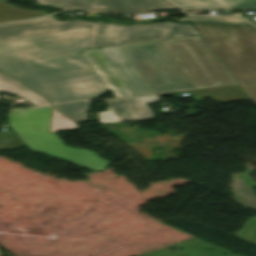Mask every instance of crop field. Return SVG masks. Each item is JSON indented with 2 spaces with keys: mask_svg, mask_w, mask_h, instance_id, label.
Listing matches in <instances>:
<instances>
[{
  "mask_svg": "<svg viewBox=\"0 0 256 256\" xmlns=\"http://www.w3.org/2000/svg\"><path fill=\"white\" fill-rule=\"evenodd\" d=\"M166 1L178 7L180 10H232L230 6H228L221 0H166Z\"/></svg>",
  "mask_w": 256,
  "mask_h": 256,
  "instance_id": "10",
  "label": "crop field"
},
{
  "mask_svg": "<svg viewBox=\"0 0 256 256\" xmlns=\"http://www.w3.org/2000/svg\"><path fill=\"white\" fill-rule=\"evenodd\" d=\"M237 83L256 84V28L193 24Z\"/></svg>",
  "mask_w": 256,
  "mask_h": 256,
  "instance_id": "4",
  "label": "crop field"
},
{
  "mask_svg": "<svg viewBox=\"0 0 256 256\" xmlns=\"http://www.w3.org/2000/svg\"><path fill=\"white\" fill-rule=\"evenodd\" d=\"M90 100L72 102L67 104L55 105L54 109L66 115L76 122L88 120L84 113L86 112L87 106Z\"/></svg>",
  "mask_w": 256,
  "mask_h": 256,
  "instance_id": "12",
  "label": "crop field"
},
{
  "mask_svg": "<svg viewBox=\"0 0 256 256\" xmlns=\"http://www.w3.org/2000/svg\"><path fill=\"white\" fill-rule=\"evenodd\" d=\"M87 26H91L89 48L198 35L191 24L163 22L121 27L114 24L78 20L57 22L49 16L0 25V41Z\"/></svg>",
  "mask_w": 256,
  "mask_h": 256,
  "instance_id": "3",
  "label": "crop field"
},
{
  "mask_svg": "<svg viewBox=\"0 0 256 256\" xmlns=\"http://www.w3.org/2000/svg\"><path fill=\"white\" fill-rule=\"evenodd\" d=\"M76 128L77 126L75 123L66 119L65 117L58 114L57 112L53 111L52 126H51L50 132H56L58 130L76 129Z\"/></svg>",
  "mask_w": 256,
  "mask_h": 256,
  "instance_id": "14",
  "label": "crop field"
},
{
  "mask_svg": "<svg viewBox=\"0 0 256 256\" xmlns=\"http://www.w3.org/2000/svg\"><path fill=\"white\" fill-rule=\"evenodd\" d=\"M240 86L256 106V86H253V85H240Z\"/></svg>",
  "mask_w": 256,
  "mask_h": 256,
  "instance_id": "17",
  "label": "crop field"
},
{
  "mask_svg": "<svg viewBox=\"0 0 256 256\" xmlns=\"http://www.w3.org/2000/svg\"><path fill=\"white\" fill-rule=\"evenodd\" d=\"M4 1L8 0H0V23L36 18L41 17L43 15H47L44 12L29 11L15 8L5 3Z\"/></svg>",
  "mask_w": 256,
  "mask_h": 256,
  "instance_id": "11",
  "label": "crop field"
},
{
  "mask_svg": "<svg viewBox=\"0 0 256 256\" xmlns=\"http://www.w3.org/2000/svg\"><path fill=\"white\" fill-rule=\"evenodd\" d=\"M81 53L116 98L236 83L200 36Z\"/></svg>",
  "mask_w": 256,
  "mask_h": 256,
  "instance_id": "1",
  "label": "crop field"
},
{
  "mask_svg": "<svg viewBox=\"0 0 256 256\" xmlns=\"http://www.w3.org/2000/svg\"><path fill=\"white\" fill-rule=\"evenodd\" d=\"M189 22H217L249 24L236 16L186 17Z\"/></svg>",
  "mask_w": 256,
  "mask_h": 256,
  "instance_id": "13",
  "label": "crop field"
},
{
  "mask_svg": "<svg viewBox=\"0 0 256 256\" xmlns=\"http://www.w3.org/2000/svg\"><path fill=\"white\" fill-rule=\"evenodd\" d=\"M51 108L11 109L9 125L32 151L68 160L86 168L104 169L109 163L86 149L65 146L55 133H48Z\"/></svg>",
  "mask_w": 256,
  "mask_h": 256,
  "instance_id": "5",
  "label": "crop field"
},
{
  "mask_svg": "<svg viewBox=\"0 0 256 256\" xmlns=\"http://www.w3.org/2000/svg\"><path fill=\"white\" fill-rule=\"evenodd\" d=\"M197 102L202 98L209 97L214 102H232L249 100L239 85L220 87L214 89L194 90L190 91Z\"/></svg>",
  "mask_w": 256,
  "mask_h": 256,
  "instance_id": "8",
  "label": "crop field"
},
{
  "mask_svg": "<svg viewBox=\"0 0 256 256\" xmlns=\"http://www.w3.org/2000/svg\"><path fill=\"white\" fill-rule=\"evenodd\" d=\"M22 145L24 143L18 135L7 138L0 134V150H14Z\"/></svg>",
  "mask_w": 256,
  "mask_h": 256,
  "instance_id": "15",
  "label": "crop field"
},
{
  "mask_svg": "<svg viewBox=\"0 0 256 256\" xmlns=\"http://www.w3.org/2000/svg\"><path fill=\"white\" fill-rule=\"evenodd\" d=\"M237 10H256V0H223Z\"/></svg>",
  "mask_w": 256,
  "mask_h": 256,
  "instance_id": "16",
  "label": "crop field"
},
{
  "mask_svg": "<svg viewBox=\"0 0 256 256\" xmlns=\"http://www.w3.org/2000/svg\"><path fill=\"white\" fill-rule=\"evenodd\" d=\"M156 95L108 100L107 112L98 113L100 123L135 121L152 118L145 103L157 102Z\"/></svg>",
  "mask_w": 256,
  "mask_h": 256,
  "instance_id": "7",
  "label": "crop field"
},
{
  "mask_svg": "<svg viewBox=\"0 0 256 256\" xmlns=\"http://www.w3.org/2000/svg\"><path fill=\"white\" fill-rule=\"evenodd\" d=\"M90 27L0 42V73L53 103L95 97L107 89L79 51Z\"/></svg>",
  "mask_w": 256,
  "mask_h": 256,
  "instance_id": "2",
  "label": "crop field"
},
{
  "mask_svg": "<svg viewBox=\"0 0 256 256\" xmlns=\"http://www.w3.org/2000/svg\"><path fill=\"white\" fill-rule=\"evenodd\" d=\"M0 91L13 93L20 97H23L37 106L51 104L45 98L30 90L26 86L22 85L18 81L2 74H0Z\"/></svg>",
  "mask_w": 256,
  "mask_h": 256,
  "instance_id": "9",
  "label": "crop field"
},
{
  "mask_svg": "<svg viewBox=\"0 0 256 256\" xmlns=\"http://www.w3.org/2000/svg\"><path fill=\"white\" fill-rule=\"evenodd\" d=\"M38 3L58 8L95 10L103 8L118 14H136L145 11L175 9L164 0H37Z\"/></svg>",
  "mask_w": 256,
  "mask_h": 256,
  "instance_id": "6",
  "label": "crop field"
}]
</instances>
